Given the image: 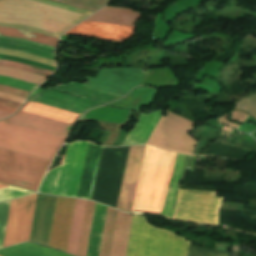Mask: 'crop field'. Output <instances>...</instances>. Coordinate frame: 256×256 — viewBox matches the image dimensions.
I'll return each instance as SVG.
<instances>
[{
	"label": "crop field",
	"instance_id": "obj_1",
	"mask_svg": "<svg viewBox=\"0 0 256 256\" xmlns=\"http://www.w3.org/2000/svg\"><path fill=\"white\" fill-rule=\"evenodd\" d=\"M79 117L27 101L0 121V147L52 160Z\"/></svg>",
	"mask_w": 256,
	"mask_h": 256
},
{
	"label": "crop field",
	"instance_id": "obj_2",
	"mask_svg": "<svg viewBox=\"0 0 256 256\" xmlns=\"http://www.w3.org/2000/svg\"><path fill=\"white\" fill-rule=\"evenodd\" d=\"M175 155L147 146L131 213L161 216Z\"/></svg>",
	"mask_w": 256,
	"mask_h": 256
},
{
	"label": "crop field",
	"instance_id": "obj_3",
	"mask_svg": "<svg viewBox=\"0 0 256 256\" xmlns=\"http://www.w3.org/2000/svg\"><path fill=\"white\" fill-rule=\"evenodd\" d=\"M188 241L133 216L126 256H186Z\"/></svg>",
	"mask_w": 256,
	"mask_h": 256
},
{
	"label": "crop field",
	"instance_id": "obj_4",
	"mask_svg": "<svg viewBox=\"0 0 256 256\" xmlns=\"http://www.w3.org/2000/svg\"><path fill=\"white\" fill-rule=\"evenodd\" d=\"M52 89L79 95L81 97L58 92ZM52 89H44L28 101L82 114L90 108L110 102L120 96L76 82Z\"/></svg>",
	"mask_w": 256,
	"mask_h": 256
},
{
	"label": "crop field",
	"instance_id": "obj_5",
	"mask_svg": "<svg viewBox=\"0 0 256 256\" xmlns=\"http://www.w3.org/2000/svg\"><path fill=\"white\" fill-rule=\"evenodd\" d=\"M50 160L0 148V182L36 190Z\"/></svg>",
	"mask_w": 256,
	"mask_h": 256
},
{
	"label": "crop field",
	"instance_id": "obj_6",
	"mask_svg": "<svg viewBox=\"0 0 256 256\" xmlns=\"http://www.w3.org/2000/svg\"><path fill=\"white\" fill-rule=\"evenodd\" d=\"M87 144L88 142L67 144L64 165L49 171L39 192L76 197Z\"/></svg>",
	"mask_w": 256,
	"mask_h": 256
},
{
	"label": "crop field",
	"instance_id": "obj_7",
	"mask_svg": "<svg viewBox=\"0 0 256 256\" xmlns=\"http://www.w3.org/2000/svg\"><path fill=\"white\" fill-rule=\"evenodd\" d=\"M216 192L179 190L171 219L216 226L218 209L223 198Z\"/></svg>",
	"mask_w": 256,
	"mask_h": 256
},
{
	"label": "crop field",
	"instance_id": "obj_8",
	"mask_svg": "<svg viewBox=\"0 0 256 256\" xmlns=\"http://www.w3.org/2000/svg\"><path fill=\"white\" fill-rule=\"evenodd\" d=\"M166 112L167 115L161 117L146 144L193 154L197 142L186 132L192 130L195 123L170 111Z\"/></svg>",
	"mask_w": 256,
	"mask_h": 256
},
{
	"label": "crop field",
	"instance_id": "obj_9",
	"mask_svg": "<svg viewBox=\"0 0 256 256\" xmlns=\"http://www.w3.org/2000/svg\"><path fill=\"white\" fill-rule=\"evenodd\" d=\"M131 218L107 207L99 256H125Z\"/></svg>",
	"mask_w": 256,
	"mask_h": 256
},
{
	"label": "crop field",
	"instance_id": "obj_10",
	"mask_svg": "<svg viewBox=\"0 0 256 256\" xmlns=\"http://www.w3.org/2000/svg\"><path fill=\"white\" fill-rule=\"evenodd\" d=\"M36 195L11 201L3 247L28 240Z\"/></svg>",
	"mask_w": 256,
	"mask_h": 256
},
{
	"label": "crop field",
	"instance_id": "obj_11",
	"mask_svg": "<svg viewBox=\"0 0 256 256\" xmlns=\"http://www.w3.org/2000/svg\"><path fill=\"white\" fill-rule=\"evenodd\" d=\"M145 71L137 68H117L100 70L95 78L86 76V85L124 95L139 84Z\"/></svg>",
	"mask_w": 256,
	"mask_h": 256
},
{
	"label": "crop field",
	"instance_id": "obj_12",
	"mask_svg": "<svg viewBox=\"0 0 256 256\" xmlns=\"http://www.w3.org/2000/svg\"><path fill=\"white\" fill-rule=\"evenodd\" d=\"M145 148L146 146H136L129 149L117 209L129 213L131 211Z\"/></svg>",
	"mask_w": 256,
	"mask_h": 256
},
{
	"label": "crop field",
	"instance_id": "obj_13",
	"mask_svg": "<svg viewBox=\"0 0 256 256\" xmlns=\"http://www.w3.org/2000/svg\"><path fill=\"white\" fill-rule=\"evenodd\" d=\"M75 199L57 197L49 246L66 252Z\"/></svg>",
	"mask_w": 256,
	"mask_h": 256
},
{
	"label": "crop field",
	"instance_id": "obj_14",
	"mask_svg": "<svg viewBox=\"0 0 256 256\" xmlns=\"http://www.w3.org/2000/svg\"><path fill=\"white\" fill-rule=\"evenodd\" d=\"M135 28L83 21L65 34L83 38L123 42L134 35Z\"/></svg>",
	"mask_w": 256,
	"mask_h": 256
},
{
	"label": "crop field",
	"instance_id": "obj_15",
	"mask_svg": "<svg viewBox=\"0 0 256 256\" xmlns=\"http://www.w3.org/2000/svg\"><path fill=\"white\" fill-rule=\"evenodd\" d=\"M56 197L38 193L30 241L47 246Z\"/></svg>",
	"mask_w": 256,
	"mask_h": 256
},
{
	"label": "crop field",
	"instance_id": "obj_16",
	"mask_svg": "<svg viewBox=\"0 0 256 256\" xmlns=\"http://www.w3.org/2000/svg\"><path fill=\"white\" fill-rule=\"evenodd\" d=\"M139 17L137 11L105 7L86 20L135 27Z\"/></svg>",
	"mask_w": 256,
	"mask_h": 256
},
{
	"label": "crop field",
	"instance_id": "obj_17",
	"mask_svg": "<svg viewBox=\"0 0 256 256\" xmlns=\"http://www.w3.org/2000/svg\"><path fill=\"white\" fill-rule=\"evenodd\" d=\"M163 111L164 110L157 111L148 115L141 113L139 119L132 128L128 138L126 137L127 139L122 146L144 144Z\"/></svg>",
	"mask_w": 256,
	"mask_h": 256
},
{
	"label": "crop field",
	"instance_id": "obj_18",
	"mask_svg": "<svg viewBox=\"0 0 256 256\" xmlns=\"http://www.w3.org/2000/svg\"><path fill=\"white\" fill-rule=\"evenodd\" d=\"M0 48L18 50L55 60L56 48L22 39L0 37Z\"/></svg>",
	"mask_w": 256,
	"mask_h": 256
},
{
	"label": "crop field",
	"instance_id": "obj_19",
	"mask_svg": "<svg viewBox=\"0 0 256 256\" xmlns=\"http://www.w3.org/2000/svg\"><path fill=\"white\" fill-rule=\"evenodd\" d=\"M0 256H71L32 243H21L0 249Z\"/></svg>",
	"mask_w": 256,
	"mask_h": 256
},
{
	"label": "crop field",
	"instance_id": "obj_20",
	"mask_svg": "<svg viewBox=\"0 0 256 256\" xmlns=\"http://www.w3.org/2000/svg\"><path fill=\"white\" fill-rule=\"evenodd\" d=\"M105 210V206L95 203L87 256H98L99 254Z\"/></svg>",
	"mask_w": 256,
	"mask_h": 256
},
{
	"label": "crop field",
	"instance_id": "obj_21",
	"mask_svg": "<svg viewBox=\"0 0 256 256\" xmlns=\"http://www.w3.org/2000/svg\"><path fill=\"white\" fill-rule=\"evenodd\" d=\"M131 111L102 106L88 111L83 117L125 124Z\"/></svg>",
	"mask_w": 256,
	"mask_h": 256
},
{
	"label": "crop field",
	"instance_id": "obj_22",
	"mask_svg": "<svg viewBox=\"0 0 256 256\" xmlns=\"http://www.w3.org/2000/svg\"><path fill=\"white\" fill-rule=\"evenodd\" d=\"M86 201L76 199L68 250L67 252L75 255L77 254L78 242L80 237V231L82 226L83 214Z\"/></svg>",
	"mask_w": 256,
	"mask_h": 256
},
{
	"label": "crop field",
	"instance_id": "obj_23",
	"mask_svg": "<svg viewBox=\"0 0 256 256\" xmlns=\"http://www.w3.org/2000/svg\"><path fill=\"white\" fill-rule=\"evenodd\" d=\"M184 155L178 154L176 155L175 166L173 170L172 179L170 182V186L167 192L166 201L163 210V217L170 218L172 215L175 199H176V191L179 183L182 162Z\"/></svg>",
	"mask_w": 256,
	"mask_h": 256
},
{
	"label": "crop field",
	"instance_id": "obj_24",
	"mask_svg": "<svg viewBox=\"0 0 256 256\" xmlns=\"http://www.w3.org/2000/svg\"><path fill=\"white\" fill-rule=\"evenodd\" d=\"M0 36H8V37H16V38H23L51 46L57 45V38L41 35L38 33L21 30V29H13V28H5L0 27Z\"/></svg>",
	"mask_w": 256,
	"mask_h": 256
},
{
	"label": "crop field",
	"instance_id": "obj_25",
	"mask_svg": "<svg viewBox=\"0 0 256 256\" xmlns=\"http://www.w3.org/2000/svg\"><path fill=\"white\" fill-rule=\"evenodd\" d=\"M93 206L94 203L87 201L77 256H86Z\"/></svg>",
	"mask_w": 256,
	"mask_h": 256
},
{
	"label": "crop field",
	"instance_id": "obj_26",
	"mask_svg": "<svg viewBox=\"0 0 256 256\" xmlns=\"http://www.w3.org/2000/svg\"><path fill=\"white\" fill-rule=\"evenodd\" d=\"M70 6L82 8L89 11H97L104 6L108 0H52Z\"/></svg>",
	"mask_w": 256,
	"mask_h": 256
},
{
	"label": "crop field",
	"instance_id": "obj_27",
	"mask_svg": "<svg viewBox=\"0 0 256 256\" xmlns=\"http://www.w3.org/2000/svg\"><path fill=\"white\" fill-rule=\"evenodd\" d=\"M0 75L10 76V77L17 78V79L27 81L33 84H37V85H39L42 81L46 79L45 77H41V76H37V75H33V74L21 72V71L9 69V68H4V67H0Z\"/></svg>",
	"mask_w": 256,
	"mask_h": 256
},
{
	"label": "crop field",
	"instance_id": "obj_28",
	"mask_svg": "<svg viewBox=\"0 0 256 256\" xmlns=\"http://www.w3.org/2000/svg\"><path fill=\"white\" fill-rule=\"evenodd\" d=\"M0 66L10 67V68H14V69H18V70L46 76V77H48L52 73V71L20 64L12 61H7V60H0Z\"/></svg>",
	"mask_w": 256,
	"mask_h": 256
},
{
	"label": "crop field",
	"instance_id": "obj_29",
	"mask_svg": "<svg viewBox=\"0 0 256 256\" xmlns=\"http://www.w3.org/2000/svg\"><path fill=\"white\" fill-rule=\"evenodd\" d=\"M30 193H34V192H30V191L19 189L12 186L5 187L0 189V201L8 200L11 198L19 197V196L30 194Z\"/></svg>",
	"mask_w": 256,
	"mask_h": 256
},
{
	"label": "crop field",
	"instance_id": "obj_30",
	"mask_svg": "<svg viewBox=\"0 0 256 256\" xmlns=\"http://www.w3.org/2000/svg\"><path fill=\"white\" fill-rule=\"evenodd\" d=\"M187 256H229L227 252L199 249L189 243Z\"/></svg>",
	"mask_w": 256,
	"mask_h": 256
},
{
	"label": "crop field",
	"instance_id": "obj_31",
	"mask_svg": "<svg viewBox=\"0 0 256 256\" xmlns=\"http://www.w3.org/2000/svg\"><path fill=\"white\" fill-rule=\"evenodd\" d=\"M0 92L10 94L13 96H17V97H21V98H25V99L30 94V92H26V91L14 89V88L2 86V85H0Z\"/></svg>",
	"mask_w": 256,
	"mask_h": 256
},
{
	"label": "crop field",
	"instance_id": "obj_32",
	"mask_svg": "<svg viewBox=\"0 0 256 256\" xmlns=\"http://www.w3.org/2000/svg\"><path fill=\"white\" fill-rule=\"evenodd\" d=\"M20 105V103L0 99V110L14 113Z\"/></svg>",
	"mask_w": 256,
	"mask_h": 256
},
{
	"label": "crop field",
	"instance_id": "obj_33",
	"mask_svg": "<svg viewBox=\"0 0 256 256\" xmlns=\"http://www.w3.org/2000/svg\"><path fill=\"white\" fill-rule=\"evenodd\" d=\"M0 59L12 60V61H16V62H20V63H24V64H28V65H32V66H36V67H40V68H44V69H48V70H52V71H54V69H55L54 67H50V66H46V65L26 61V60H22V59H18V58H14V57H9V56H1L0 55Z\"/></svg>",
	"mask_w": 256,
	"mask_h": 256
},
{
	"label": "crop field",
	"instance_id": "obj_34",
	"mask_svg": "<svg viewBox=\"0 0 256 256\" xmlns=\"http://www.w3.org/2000/svg\"><path fill=\"white\" fill-rule=\"evenodd\" d=\"M0 97L5 98V99H9V100H13V101H17V102H21V103H23L25 101L24 99L16 98V97L9 96V95L2 94V93H0Z\"/></svg>",
	"mask_w": 256,
	"mask_h": 256
},
{
	"label": "crop field",
	"instance_id": "obj_35",
	"mask_svg": "<svg viewBox=\"0 0 256 256\" xmlns=\"http://www.w3.org/2000/svg\"><path fill=\"white\" fill-rule=\"evenodd\" d=\"M187 158H188V156L185 155V157H184V163H183V168H182L181 179H183V177H184L185 168H186V163H187Z\"/></svg>",
	"mask_w": 256,
	"mask_h": 256
},
{
	"label": "crop field",
	"instance_id": "obj_36",
	"mask_svg": "<svg viewBox=\"0 0 256 256\" xmlns=\"http://www.w3.org/2000/svg\"><path fill=\"white\" fill-rule=\"evenodd\" d=\"M11 113L0 111V119L10 116Z\"/></svg>",
	"mask_w": 256,
	"mask_h": 256
},
{
	"label": "crop field",
	"instance_id": "obj_37",
	"mask_svg": "<svg viewBox=\"0 0 256 256\" xmlns=\"http://www.w3.org/2000/svg\"><path fill=\"white\" fill-rule=\"evenodd\" d=\"M41 89H42V88L39 87V88H38L37 90H35L31 95H33L35 92H37V91H39V90H41ZM31 95H30V96H31Z\"/></svg>",
	"mask_w": 256,
	"mask_h": 256
},
{
	"label": "crop field",
	"instance_id": "obj_38",
	"mask_svg": "<svg viewBox=\"0 0 256 256\" xmlns=\"http://www.w3.org/2000/svg\"><path fill=\"white\" fill-rule=\"evenodd\" d=\"M5 186H8V185L0 184V188L5 187Z\"/></svg>",
	"mask_w": 256,
	"mask_h": 256
},
{
	"label": "crop field",
	"instance_id": "obj_39",
	"mask_svg": "<svg viewBox=\"0 0 256 256\" xmlns=\"http://www.w3.org/2000/svg\"><path fill=\"white\" fill-rule=\"evenodd\" d=\"M146 1H148V0H146Z\"/></svg>",
	"mask_w": 256,
	"mask_h": 256
}]
</instances>
